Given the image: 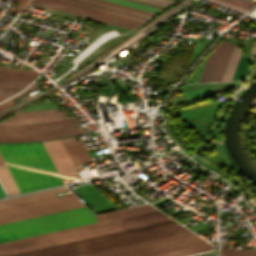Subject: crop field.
<instances>
[{
	"mask_svg": "<svg viewBox=\"0 0 256 256\" xmlns=\"http://www.w3.org/2000/svg\"><path fill=\"white\" fill-rule=\"evenodd\" d=\"M234 45L221 41L207 56L197 82L221 81Z\"/></svg>",
	"mask_w": 256,
	"mask_h": 256,
	"instance_id": "crop-field-7",
	"label": "crop field"
},
{
	"mask_svg": "<svg viewBox=\"0 0 256 256\" xmlns=\"http://www.w3.org/2000/svg\"><path fill=\"white\" fill-rule=\"evenodd\" d=\"M131 1H134V0H131ZM135 2H138V1H135ZM139 3H142V2H139ZM143 4H146V3H143ZM147 5H150V4H147ZM151 6H154V5H151ZM155 7H158V6H155ZM159 8H162V7H159Z\"/></svg>",
	"mask_w": 256,
	"mask_h": 256,
	"instance_id": "crop-field-33",
	"label": "crop field"
},
{
	"mask_svg": "<svg viewBox=\"0 0 256 256\" xmlns=\"http://www.w3.org/2000/svg\"><path fill=\"white\" fill-rule=\"evenodd\" d=\"M63 190L67 188L0 201V224L84 206L72 193L57 197L55 192Z\"/></svg>",
	"mask_w": 256,
	"mask_h": 256,
	"instance_id": "crop-field-2",
	"label": "crop field"
},
{
	"mask_svg": "<svg viewBox=\"0 0 256 256\" xmlns=\"http://www.w3.org/2000/svg\"><path fill=\"white\" fill-rule=\"evenodd\" d=\"M256 254V250H220V255Z\"/></svg>",
	"mask_w": 256,
	"mask_h": 256,
	"instance_id": "crop-field-24",
	"label": "crop field"
},
{
	"mask_svg": "<svg viewBox=\"0 0 256 256\" xmlns=\"http://www.w3.org/2000/svg\"><path fill=\"white\" fill-rule=\"evenodd\" d=\"M211 1H214V2H217V3H220V4H223V5H225V6H228V7L234 8V9H237V10L242 11V12H245V11H246V9H243V8H240V7H237V6H234V5L225 3V2L220 1V0H211Z\"/></svg>",
	"mask_w": 256,
	"mask_h": 256,
	"instance_id": "crop-field-30",
	"label": "crop field"
},
{
	"mask_svg": "<svg viewBox=\"0 0 256 256\" xmlns=\"http://www.w3.org/2000/svg\"><path fill=\"white\" fill-rule=\"evenodd\" d=\"M201 243H205V241L197 236H194L190 238L180 239L176 241L166 242L162 244L152 245L148 247H143L106 256H145L149 254L159 253L163 251L173 250Z\"/></svg>",
	"mask_w": 256,
	"mask_h": 256,
	"instance_id": "crop-field-10",
	"label": "crop field"
},
{
	"mask_svg": "<svg viewBox=\"0 0 256 256\" xmlns=\"http://www.w3.org/2000/svg\"><path fill=\"white\" fill-rule=\"evenodd\" d=\"M154 212H158V211L154 210V211H149V212H145V213L130 215V216H126V217L111 219V220H107V221L92 223V224H88V225L73 227V228H69V229L59 230V231H55V232L40 234V235L31 236V237H27V238H22V239H18V240L8 241V242L0 243V246L12 244V243H17V242H21V241H26V240H30V239H35V238H39V237H44V236H48V235L58 234V233H62V232H67V231H71V230H76V229H80V228H85V227H89V226H94V225H98V224H103V223H107V222L126 219V218H130V217H135V216H140V215H144V214L154 213Z\"/></svg>",
	"mask_w": 256,
	"mask_h": 256,
	"instance_id": "crop-field-18",
	"label": "crop field"
},
{
	"mask_svg": "<svg viewBox=\"0 0 256 256\" xmlns=\"http://www.w3.org/2000/svg\"><path fill=\"white\" fill-rule=\"evenodd\" d=\"M142 1L150 2V3L162 5V6H165L174 2L173 0H142Z\"/></svg>",
	"mask_w": 256,
	"mask_h": 256,
	"instance_id": "crop-field-27",
	"label": "crop field"
},
{
	"mask_svg": "<svg viewBox=\"0 0 256 256\" xmlns=\"http://www.w3.org/2000/svg\"><path fill=\"white\" fill-rule=\"evenodd\" d=\"M107 1H111L114 3L130 6L133 8H137V9H141V10H145V11H149V12H153V13H155L159 10V8H155V7H151V6H147V5H143V4L127 1V0H107Z\"/></svg>",
	"mask_w": 256,
	"mask_h": 256,
	"instance_id": "crop-field-22",
	"label": "crop field"
},
{
	"mask_svg": "<svg viewBox=\"0 0 256 256\" xmlns=\"http://www.w3.org/2000/svg\"><path fill=\"white\" fill-rule=\"evenodd\" d=\"M94 1L102 2V3H106V4H110V5L126 8V9H130V10H134V11H138V12H142V13H146V14H150V15L153 14V13H149V12H145V11L129 8V7H126V6H122V5H118V4H114V3H110V2H106V1H102V0H94Z\"/></svg>",
	"mask_w": 256,
	"mask_h": 256,
	"instance_id": "crop-field-28",
	"label": "crop field"
},
{
	"mask_svg": "<svg viewBox=\"0 0 256 256\" xmlns=\"http://www.w3.org/2000/svg\"><path fill=\"white\" fill-rule=\"evenodd\" d=\"M189 236H194V234L191 232H188V233L164 237V238H160V239L145 241V242H141V243L126 245V246H122V247H117V248L102 250V251H98V252L83 254V255H79V256H100V255L110 254V253L124 251V250H128V249L138 248V247H142V246L171 241V240H175V239L185 238V237H189Z\"/></svg>",
	"mask_w": 256,
	"mask_h": 256,
	"instance_id": "crop-field-17",
	"label": "crop field"
},
{
	"mask_svg": "<svg viewBox=\"0 0 256 256\" xmlns=\"http://www.w3.org/2000/svg\"><path fill=\"white\" fill-rule=\"evenodd\" d=\"M209 256H215V252L209 253Z\"/></svg>",
	"mask_w": 256,
	"mask_h": 256,
	"instance_id": "crop-field-34",
	"label": "crop field"
},
{
	"mask_svg": "<svg viewBox=\"0 0 256 256\" xmlns=\"http://www.w3.org/2000/svg\"><path fill=\"white\" fill-rule=\"evenodd\" d=\"M33 78L0 74V100L18 92Z\"/></svg>",
	"mask_w": 256,
	"mask_h": 256,
	"instance_id": "crop-field-14",
	"label": "crop field"
},
{
	"mask_svg": "<svg viewBox=\"0 0 256 256\" xmlns=\"http://www.w3.org/2000/svg\"><path fill=\"white\" fill-rule=\"evenodd\" d=\"M170 220L161 212L0 247V256Z\"/></svg>",
	"mask_w": 256,
	"mask_h": 256,
	"instance_id": "crop-field-3",
	"label": "crop field"
},
{
	"mask_svg": "<svg viewBox=\"0 0 256 256\" xmlns=\"http://www.w3.org/2000/svg\"><path fill=\"white\" fill-rule=\"evenodd\" d=\"M240 53H241L240 49L235 45V48L233 50L232 56L230 58L228 67L226 69V72H225V75H224L222 81H230L231 80V77L233 75V72H234L235 66L237 64L238 58L240 56Z\"/></svg>",
	"mask_w": 256,
	"mask_h": 256,
	"instance_id": "crop-field-21",
	"label": "crop field"
},
{
	"mask_svg": "<svg viewBox=\"0 0 256 256\" xmlns=\"http://www.w3.org/2000/svg\"><path fill=\"white\" fill-rule=\"evenodd\" d=\"M171 224H176V222L173 221V220H170V221H166V222L156 223V224H152V225H147V226H143V227L133 228V229H129V230H124V231H120V232L110 233V234H106V235H101V236H97V237L87 238V239H83V240H78V241H74V242L64 243V244H60V245H55V246H51V247L41 248V249L32 250V251L23 252V253H18V254L9 255V256H26V255H30V254H35V253H40V252H44V251L54 250V249H58V248H63V247L77 245V244L87 243V242H91V241L106 239V238H110V237H115V236H120V235H124V234L134 233V232H138V231L153 229V228L167 226V225H171Z\"/></svg>",
	"mask_w": 256,
	"mask_h": 256,
	"instance_id": "crop-field-11",
	"label": "crop field"
},
{
	"mask_svg": "<svg viewBox=\"0 0 256 256\" xmlns=\"http://www.w3.org/2000/svg\"><path fill=\"white\" fill-rule=\"evenodd\" d=\"M183 232H188V230H186L183 226L176 224V225H171L167 227L157 228L153 230L124 235L120 237L91 242L87 244L77 245L73 247L63 248L59 250L44 252V253L30 255V256H74V255L98 251L102 249L160 238L164 236L179 234Z\"/></svg>",
	"mask_w": 256,
	"mask_h": 256,
	"instance_id": "crop-field-6",
	"label": "crop field"
},
{
	"mask_svg": "<svg viewBox=\"0 0 256 256\" xmlns=\"http://www.w3.org/2000/svg\"><path fill=\"white\" fill-rule=\"evenodd\" d=\"M43 144L52 162L54 163L63 183L80 179L61 140L43 142Z\"/></svg>",
	"mask_w": 256,
	"mask_h": 256,
	"instance_id": "crop-field-8",
	"label": "crop field"
},
{
	"mask_svg": "<svg viewBox=\"0 0 256 256\" xmlns=\"http://www.w3.org/2000/svg\"><path fill=\"white\" fill-rule=\"evenodd\" d=\"M149 210H154V208L152 206H150L149 204H146V205L136 206V207H132V208H127V209H122V210H117V211L97 215L96 218L98 221H100V220L125 216V215H129V214L149 211Z\"/></svg>",
	"mask_w": 256,
	"mask_h": 256,
	"instance_id": "crop-field-19",
	"label": "crop field"
},
{
	"mask_svg": "<svg viewBox=\"0 0 256 256\" xmlns=\"http://www.w3.org/2000/svg\"><path fill=\"white\" fill-rule=\"evenodd\" d=\"M0 178H1V180H2V182H3V184H4V186H5V188H6L7 192H8V194H13V192H12V190H11V188H10V186H9V184H8V182H7V180H6V178L4 177V175H3L2 171H1V169H0Z\"/></svg>",
	"mask_w": 256,
	"mask_h": 256,
	"instance_id": "crop-field-29",
	"label": "crop field"
},
{
	"mask_svg": "<svg viewBox=\"0 0 256 256\" xmlns=\"http://www.w3.org/2000/svg\"><path fill=\"white\" fill-rule=\"evenodd\" d=\"M0 111H2V110H0Z\"/></svg>",
	"mask_w": 256,
	"mask_h": 256,
	"instance_id": "crop-field-37",
	"label": "crop field"
},
{
	"mask_svg": "<svg viewBox=\"0 0 256 256\" xmlns=\"http://www.w3.org/2000/svg\"><path fill=\"white\" fill-rule=\"evenodd\" d=\"M0 73L21 75V76H37L39 74L34 70L8 69V68H1V67H0Z\"/></svg>",
	"mask_w": 256,
	"mask_h": 256,
	"instance_id": "crop-field-23",
	"label": "crop field"
},
{
	"mask_svg": "<svg viewBox=\"0 0 256 256\" xmlns=\"http://www.w3.org/2000/svg\"><path fill=\"white\" fill-rule=\"evenodd\" d=\"M36 87H38V85H37V83H36V81H35L28 89H26V90H25L24 92H22L21 94H19V95H17L16 97H14V98H12V99H10V100H8V101H6V102L0 104V109H5V108H7V107H9V106H11V105H13V104H15V103L12 101L13 99H15V98H17V97H19V96L25 94L26 92H28V91H30V90L36 88Z\"/></svg>",
	"mask_w": 256,
	"mask_h": 256,
	"instance_id": "crop-field-25",
	"label": "crop field"
},
{
	"mask_svg": "<svg viewBox=\"0 0 256 256\" xmlns=\"http://www.w3.org/2000/svg\"><path fill=\"white\" fill-rule=\"evenodd\" d=\"M76 169H82L80 164L92 161L82 140L75 141L74 137L62 140Z\"/></svg>",
	"mask_w": 256,
	"mask_h": 256,
	"instance_id": "crop-field-12",
	"label": "crop field"
},
{
	"mask_svg": "<svg viewBox=\"0 0 256 256\" xmlns=\"http://www.w3.org/2000/svg\"><path fill=\"white\" fill-rule=\"evenodd\" d=\"M0 167L14 194L62 184L42 142L0 144Z\"/></svg>",
	"mask_w": 256,
	"mask_h": 256,
	"instance_id": "crop-field-1",
	"label": "crop field"
},
{
	"mask_svg": "<svg viewBox=\"0 0 256 256\" xmlns=\"http://www.w3.org/2000/svg\"><path fill=\"white\" fill-rule=\"evenodd\" d=\"M86 121L87 119L78 121L76 118L40 124L0 126V142L38 141L73 136L86 132L82 126L75 125Z\"/></svg>",
	"mask_w": 256,
	"mask_h": 256,
	"instance_id": "crop-field-5",
	"label": "crop field"
},
{
	"mask_svg": "<svg viewBox=\"0 0 256 256\" xmlns=\"http://www.w3.org/2000/svg\"><path fill=\"white\" fill-rule=\"evenodd\" d=\"M253 56H256V42H255V46H254V53Z\"/></svg>",
	"mask_w": 256,
	"mask_h": 256,
	"instance_id": "crop-field-32",
	"label": "crop field"
},
{
	"mask_svg": "<svg viewBox=\"0 0 256 256\" xmlns=\"http://www.w3.org/2000/svg\"><path fill=\"white\" fill-rule=\"evenodd\" d=\"M86 208L59 212L0 225V242L95 222Z\"/></svg>",
	"mask_w": 256,
	"mask_h": 256,
	"instance_id": "crop-field-4",
	"label": "crop field"
},
{
	"mask_svg": "<svg viewBox=\"0 0 256 256\" xmlns=\"http://www.w3.org/2000/svg\"><path fill=\"white\" fill-rule=\"evenodd\" d=\"M29 4H33V5H37V6H41V7H45V8H49V9H53V10H56V11H60V12H64V13H68V14H72V15H76V16H80V17H83V18H87V19L103 22V23H106V24H110V25H114V26L130 29V30L135 28V26L123 24V23H120V22L108 20V19H105V18L93 16V15H90V14L78 12V11H75V10L63 8V7H60V6L48 4V3L37 1V0H30Z\"/></svg>",
	"mask_w": 256,
	"mask_h": 256,
	"instance_id": "crop-field-16",
	"label": "crop field"
},
{
	"mask_svg": "<svg viewBox=\"0 0 256 256\" xmlns=\"http://www.w3.org/2000/svg\"><path fill=\"white\" fill-rule=\"evenodd\" d=\"M27 0H21L18 5L15 7L14 11L19 12L23 5L26 3Z\"/></svg>",
	"mask_w": 256,
	"mask_h": 256,
	"instance_id": "crop-field-31",
	"label": "crop field"
},
{
	"mask_svg": "<svg viewBox=\"0 0 256 256\" xmlns=\"http://www.w3.org/2000/svg\"><path fill=\"white\" fill-rule=\"evenodd\" d=\"M64 1L72 2V3L84 5V6H88V7H91V8H95V9L115 13V14H118V15L130 17V18H134V19H138V20H142V21H144L148 17H150V15H146V14H142V13H138V12H134V11H130V10H126V9H122V8H118V7H114V6H110V5L90 1V0H64Z\"/></svg>",
	"mask_w": 256,
	"mask_h": 256,
	"instance_id": "crop-field-15",
	"label": "crop field"
},
{
	"mask_svg": "<svg viewBox=\"0 0 256 256\" xmlns=\"http://www.w3.org/2000/svg\"><path fill=\"white\" fill-rule=\"evenodd\" d=\"M210 249H214V247L208 243H205V244H201V245L191 246V247H187V248L168 251V252L159 253V254L150 255V256H183V255L206 251V250H210Z\"/></svg>",
	"mask_w": 256,
	"mask_h": 256,
	"instance_id": "crop-field-20",
	"label": "crop field"
},
{
	"mask_svg": "<svg viewBox=\"0 0 256 256\" xmlns=\"http://www.w3.org/2000/svg\"><path fill=\"white\" fill-rule=\"evenodd\" d=\"M41 1H45V2H48V3L60 5V6H63V7L75 9V10H78V11L90 13V14H93V15L105 17V18H108V19L120 21V22H123V23L135 25V26L139 25L142 22V21H138V20L118 16V15H115V14H111V13L91 9V8H88V7H84V6L64 2V1H61V0H41Z\"/></svg>",
	"mask_w": 256,
	"mask_h": 256,
	"instance_id": "crop-field-13",
	"label": "crop field"
},
{
	"mask_svg": "<svg viewBox=\"0 0 256 256\" xmlns=\"http://www.w3.org/2000/svg\"><path fill=\"white\" fill-rule=\"evenodd\" d=\"M14 1H17V2H19L20 0H14Z\"/></svg>",
	"mask_w": 256,
	"mask_h": 256,
	"instance_id": "crop-field-36",
	"label": "crop field"
},
{
	"mask_svg": "<svg viewBox=\"0 0 256 256\" xmlns=\"http://www.w3.org/2000/svg\"><path fill=\"white\" fill-rule=\"evenodd\" d=\"M63 115H68V113L66 111L57 112V109L17 112L16 115L0 123V125H15L65 120Z\"/></svg>",
	"mask_w": 256,
	"mask_h": 256,
	"instance_id": "crop-field-9",
	"label": "crop field"
},
{
	"mask_svg": "<svg viewBox=\"0 0 256 256\" xmlns=\"http://www.w3.org/2000/svg\"><path fill=\"white\" fill-rule=\"evenodd\" d=\"M4 196L3 192L0 189V197Z\"/></svg>",
	"mask_w": 256,
	"mask_h": 256,
	"instance_id": "crop-field-35",
	"label": "crop field"
},
{
	"mask_svg": "<svg viewBox=\"0 0 256 256\" xmlns=\"http://www.w3.org/2000/svg\"><path fill=\"white\" fill-rule=\"evenodd\" d=\"M223 1H226L228 3L234 4V5L246 8V9H248L250 6L253 5V3H250V2H247L244 0H223Z\"/></svg>",
	"mask_w": 256,
	"mask_h": 256,
	"instance_id": "crop-field-26",
	"label": "crop field"
}]
</instances>
